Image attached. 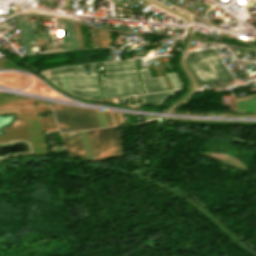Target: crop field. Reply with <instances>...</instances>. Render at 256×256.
Here are the masks:
<instances>
[{
  "label": "crop field",
  "instance_id": "obj_5",
  "mask_svg": "<svg viewBox=\"0 0 256 256\" xmlns=\"http://www.w3.org/2000/svg\"><path fill=\"white\" fill-rule=\"evenodd\" d=\"M65 107L74 130L99 127L94 110Z\"/></svg>",
  "mask_w": 256,
  "mask_h": 256
},
{
  "label": "crop field",
  "instance_id": "obj_7",
  "mask_svg": "<svg viewBox=\"0 0 256 256\" xmlns=\"http://www.w3.org/2000/svg\"><path fill=\"white\" fill-rule=\"evenodd\" d=\"M25 54L32 53L29 41H35L28 16H16Z\"/></svg>",
  "mask_w": 256,
  "mask_h": 256
},
{
  "label": "crop field",
  "instance_id": "obj_10",
  "mask_svg": "<svg viewBox=\"0 0 256 256\" xmlns=\"http://www.w3.org/2000/svg\"><path fill=\"white\" fill-rule=\"evenodd\" d=\"M61 132L71 131L62 105H51Z\"/></svg>",
  "mask_w": 256,
  "mask_h": 256
},
{
  "label": "crop field",
  "instance_id": "obj_6",
  "mask_svg": "<svg viewBox=\"0 0 256 256\" xmlns=\"http://www.w3.org/2000/svg\"><path fill=\"white\" fill-rule=\"evenodd\" d=\"M61 135L64 138L63 142L70 155L87 158L78 131Z\"/></svg>",
  "mask_w": 256,
  "mask_h": 256
},
{
  "label": "crop field",
  "instance_id": "obj_8",
  "mask_svg": "<svg viewBox=\"0 0 256 256\" xmlns=\"http://www.w3.org/2000/svg\"><path fill=\"white\" fill-rule=\"evenodd\" d=\"M145 94L168 90L162 77L149 79L146 69H140Z\"/></svg>",
  "mask_w": 256,
  "mask_h": 256
},
{
  "label": "crop field",
  "instance_id": "obj_2",
  "mask_svg": "<svg viewBox=\"0 0 256 256\" xmlns=\"http://www.w3.org/2000/svg\"><path fill=\"white\" fill-rule=\"evenodd\" d=\"M90 66L91 74L85 75L84 67L75 66L78 75H74L71 67L50 70L51 77H46L44 72H40L46 79L51 81L59 88L66 90L63 75H66L69 91L79 97L92 100L101 99L97 74H93L92 66Z\"/></svg>",
  "mask_w": 256,
  "mask_h": 256
},
{
  "label": "crop field",
  "instance_id": "obj_12",
  "mask_svg": "<svg viewBox=\"0 0 256 256\" xmlns=\"http://www.w3.org/2000/svg\"><path fill=\"white\" fill-rule=\"evenodd\" d=\"M169 79H170V82L173 86L174 89H177V88H180L181 84L179 83L175 73H170V74H167Z\"/></svg>",
  "mask_w": 256,
  "mask_h": 256
},
{
  "label": "crop field",
  "instance_id": "obj_3",
  "mask_svg": "<svg viewBox=\"0 0 256 256\" xmlns=\"http://www.w3.org/2000/svg\"><path fill=\"white\" fill-rule=\"evenodd\" d=\"M187 65L198 85L234 80L214 49L190 52Z\"/></svg>",
  "mask_w": 256,
  "mask_h": 256
},
{
  "label": "crop field",
  "instance_id": "obj_1",
  "mask_svg": "<svg viewBox=\"0 0 256 256\" xmlns=\"http://www.w3.org/2000/svg\"><path fill=\"white\" fill-rule=\"evenodd\" d=\"M103 65L106 77L99 76L104 99L143 94L134 59Z\"/></svg>",
  "mask_w": 256,
  "mask_h": 256
},
{
  "label": "crop field",
  "instance_id": "obj_4",
  "mask_svg": "<svg viewBox=\"0 0 256 256\" xmlns=\"http://www.w3.org/2000/svg\"><path fill=\"white\" fill-rule=\"evenodd\" d=\"M86 131L96 161L116 158L123 154L117 126Z\"/></svg>",
  "mask_w": 256,
  "mask_h": 256
},
{
  "label": "crop field",
  "instance_id": "obj_9",
  "mask_svg": "<svg viewBox=\"0 0 256 256\" xmlns=\"http://www.w3.org/2000/svg\"><path fill=\"white\" fill-rule=\"evenodd\" d=\"M65 49L78 48L73 22L59 19Z\"/></svg>",
  "mask_w": 256,
  "mask_h": 256
},
{
  "label": "crop field",
  "instance_id": "obj_11",
  "mask_svg": "<svg viewBox=\"0 0 256 256\" xmlns=\"http://www.w3.org/2000/svg\"><path fill=\"white\" fill-rule=\"evenodd\" d=\"M177 91L179 90L162 92L158 94L143 95V96H140V98L143 104L153 103V104L159 105L164 99L173 95Z\"/></svg>",
  "mask_w": 256,
  "mask_h": 256
}]
</instances>
